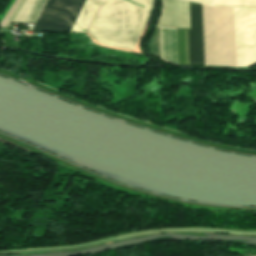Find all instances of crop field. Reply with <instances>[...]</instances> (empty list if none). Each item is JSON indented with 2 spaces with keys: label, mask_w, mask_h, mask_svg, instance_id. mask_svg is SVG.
<instances>
[{
  "label": "crop field",
  "mask_w": 256,
  "mask_h": 256,
  "mask_svg": "<svg viewBox=\"0 0 256 256\" xmlns=\"http://www.w3.org/2000/svg\"><path fill=\"white\" fill-rule=\"evenodd\" d=\"M100 8L89 29L99 43L133 50L155 0H98Z\"/></svg>",
  "instance_id": "obj_1"
},
{
  "label": "crop field",
  "mask_w": 256,
  "mask_h": 256,
  "mask_svg": "<svg viewBox=\"0 0 256 256\" xmlns=\"http://www.w3.org/2000/svg\"><path fill=\"white\" fill-rule=\"evenodd\" d=\"M205 66L236 67L234 8L202 5Z\"/></svg>",
  "instance_id": "obj_2"
},
{
  "label": "crop field",
  "mask_w": 256,
  "mask_h": 256,
  "mask_svg": "<svg viewBox=\"0 0 256 256\" xmlns=\"http://www.w3.org/2000/svg\"><path fill=\"white\" fill-rule=\"evenodd\" d=\"M85 0H47L33 32H69Z\"/></svg>",
  "instance_id": "obj_3"
},
{
  "label": "crop field",
  "mask_w": 256,
  "mask_h": 256,
  "mask_svg": "<svg viewBox=\"0 0 256 256\" xmlns=\"http://www.w3.org/2000/svg\"><path fill=\"white\" fill-rule=\"evenodd\" d=\"M237 67L256 65L255 9L235 8Z\"/></svg>",
  "instance_id": "obj_4"
},
{
  "label": "crop field",
  "mask_w": 256,
  "mask_h": 256,
  "mask_svg": "<svg viewBox=\"0 0 256 256\" xmlns=\"http://www.w3.org/2000/svg\"><path fill=\"white\" fill-rule=\"evenodd\" d=\"M163 9L158 26L188 28V2L181 0H162Z\"/></svg>",
  "instance_id": "obj_5"
},
{
  "label": "crop field",
  "mask_w": 256,
  "mask_h": 256,
  "mask_svg": "<svg viewBox=\"0 0 256 256\" xmlns=\"http://www.w3.org/2000/svg\"><path fill=\"white\" fill-rule=\"evenodd\" d=\"M191 22L192 66H204L201 5L189 2Z\"/></svg>",
  "instance_id": "obj_6"
},
{
  "label": "crop field",
  "mask_w": 256,
  "mask_h": 256,
  "mask_svg": "<svg viewBox=\"0 0 256 256\" xmlns=\"http://www.w3.org/2000/svg\"><path fill=\"white\" fill-rule=\"evenodd\" d=\"M161 59L177 65L175 29L160 28Z\"/></svg>",
  "instance_id": "obj_7"
},
{
  "label": "crop field",
  "mask_w": 256,
  "mask_h": 256,
  "mask_svg": "<svg viewBox=\"0 0 256 256\" xmlns=\"http://www.w3.org/2000/svg\"><path fill=\"white\" fill-rule=\"evenodd\" d=\"M97 8L94 0H86L70 33H85Z\"/></svg>",
  "instance_id": "obj_8"
},
{
  "label": "crop field",
  "mask_w": 256,
  "mask_h": 256,
  "mask_svg": "<svg viewBox=\"0 0 256 256\" xmlns=\"http://www.w3.org/2000/svg\"><path fill=\"white\" fill-rule=\"evenodd\" d=\"M176 38H177V56H178V65L188 66V57H189V66H191V56H190V34L187 30L188 38V57H187V38L186 30L176 29Z\"/></svg>",
  "instance_id": "obj_9"
},
{
  "label": "crop field",
  "mask_w": 256,
  "mask_h": 256,
  "mask_svg": "<svg viewBox=\"0 0 256 256\" xmlns=\"http://www.w3.org/2000/svg\"><path fill=\"white\" fill-rule=\"evenodd\" d=\"M213 5L256 7V0H213Z\"/></svg>",
  "instance_id": "obj_10"
},
{
  "label": "crop field",
  "mask_w": 256,
  "mask_h": 256,
  "mask_svg": "<svg viewBox=\"0 0 256 256\" xmlns=\"http://www.w3.org/2000/svg\"><path fill=\"white\" fill-rule=\"evenodd\" d=\"M46 0H36L24 23H35Z\"/></svg>",
  "instance_id": "obj_11"
},
{
  "label": "crop field",
  "mask_w": 256,
  "mask_h": 256,
  "mask_svg": "<svg viewBox=\"0 0 256 256\" xmlns=\"http://www.w3.org/2000/svg\"><path fill=\"white\" fill-rule=\"evenodd\" d=\"M35 0H26L14 22H23Z\"/></svg>",
  "instance_id": "obj_12"
},
{
  "label": "crop field",
  "mask_w": 256,
  "mask_h": 256,
  "mask_svg": "<svg viewBox=\"0 0 256 256\" xmlns=\"http://www.w3.org/2000/svg\"><path fill=\"white\" fill-rule=\"evenodd\" d=\"M25 0H21L18 4V6L16 7V9L14 10V12L12 13L11 17L9 18V20L7 21L6 25L4 26V28H9L11 22L13 21V19L15 18L17 12L19 11L20 7L22 6L23 2Z\"/></svg>",
  "instance_id": "obj_13"
},
{
  "label": "crop field",
  "mask_w": 256,
  "mask_h": 256,
  "mask_svg": "<svg viewBox=\"0 0 256 256\" xmlns=\"http://www.w3.org/2000/svg\"><path fill=\"white\" fill-rule=\"evenodd\" d=\"M19 2V0H16L13 5L11 6V8L9 9V11L7 12V14L5 15V17L3 18V20L0 23V26L3 27V25L5 24V22L7 21L8 17L10 16V14L12 13V11L14 10V8L16 7L17 3Z\"/></svg>",
  "instance_id": "obj_14"
},
{
  "label": "crop field",
  "mask_w": 256,
  "mask_h": 256,
  "mask_svg": "<svg viewBox=\"0 0 256 256\" xmlns=\"http://www.w3.org/2000/svg\"><path fill=\"white\" fill-rule=\"evenodd\" d=\"M190 1H195V2H201V3L211 4V0H190Z\"/></svg>",
  "instance_id": "obj_15"
}]
</instances>
